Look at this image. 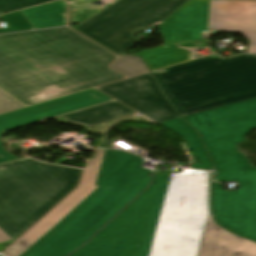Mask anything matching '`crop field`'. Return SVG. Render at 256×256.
Returning <instances> with one entry per match:
<instances>
[{"label":"crop field","instance_id":"8a807250","mask_svg":"<svg viewBox=\"0 0 256 256\" xmlns=\"http://www.w3.org/2000/svg\"><path fill=\"white\" fill-rule=\"evenodd\" d=\"M116 57L68 28L0 36V87L26 105L123 78Z\"/></svg>","mask_w":256,"mask_h":256},{"label":"crop field","instance_id":"ac0d7876","mask_svg":"<svg viewBox=\"0 0 256 256\" xmlns=\"http://www.w3.org/2000/svg\"><path fill=\"white\" fill-rule=\"evenodd\" d=\"M196 128L217 171V181H235L237 191L213 187V211L217 223L256 241V168L236 151V144L256 128V99L184 117Z\"/></svg>","mask_w":256,"mask_h":256},{"label":"crop field","instance_id":"34b2d1b8","mask_svg":"<svg viewBox=\"0 0 256 256\" xmlns=\"http://www.w3.org/2000/svg\"><path fill=\"white\" fill-rule=\"evenodd\" d=\"M142 165L140 157L106 150L96 183L100 187L22 256H65L83 245L147 187L153 171Z\"/></svg>","mask_w":256,"mask_h":256},{"label":"crop field","instance_id":"412701ff","mask_svg":"<svg viewBox=\"0 0 256 256\" xmlns=\"http://www.w3.org/2000/svg\"><path fill=\"white\" fill-rule=\"evenodd\" d=\"M208 172L161 174L141 256H196L207 212Z\"/></svg>","mask_w":256,"mask_h":256},{"label":"crop field","instance_id":"f4fd0767","mask_svg":"<svg viewBox=\"0 0 256 256\" xmlns=\"http://www.w3.org/2000/svg\"><path fill=\"white\" fill-rule=\"evenodd\" d=\"M153 74L182 116L256 98V56L204 58Z\"/></svg>","mask_w":256,"mask_h":256},{"label":"crop field","instance_id":"dd49c442","mask_svg":"<svg viewBox=\"0 0 256 256\" xmlns=\"http://www.w3.org/2000/svg\"><path fill=\"white\" fill-rule=\"evenodd\" d=\"M81 171L31 159L0 165V225L16 239L77 185Z\"/></svg>","mask_w":256,"mask_h":256},{"label":"crop field","instance_id":"e52e79f7","mask_svg":"<svg viewBox=\"0 0 256 256\" xmlns=\"http://www.w3.org/2000/svg\"><path fill=\"white\" fill-rule=\"evenodd\" d=\"M187 1L121 0L75 29L121 55L138 42L135 29L158 26Z\"/></svg>","mask_w":256,"mask_h":256},{"label":"crop field","instance_id":"d8731c3e","mask_svg":"<svg viewBox=\"0 0 256 256\" xmlns=\"http://www.w3.org/2000/svg\"><path fill=\"white\" fill-rule=\"evenodd\" d=\"M210 0H191L160 25L166 45L144 51L141 56L150 71L189 60L207 46Z\"/></svg>","mask_w":256,"mask_h":256},{"label":"crop field","instance_id":"5a996713","mask_svg":"<svg viewBox=\"0 0 256 256\" xmlns=\"http://www.w3.org/2000/svg\"><path fill=\"white\" fill-rule=\"evenodd\" d=\"M99 88L157 122L180 117L150 73Z\"/></svg>","mask_w":256,"mask_h":256},{"label":"crop field","instance_id":"3316defc","mask_svg":"<svg viewBox=\"0 0 256 256\" xmlns=\"http://www.w3.org/2000/svg\"><path fill=\"white\" fill-rule=\"evenodd\" d=\"M112 100L96 89L87 90L66 97L58 98L29 108L20 109L0 115V138L7 129L42 120L101 102ZM18 159L3 150L0 141V163Z\"/></svg>","mask_w":256,"mask_h":256},{"label":"crop field","instance_id":"28ad6ade","mask_svg":"<svg viewBox=\"0 0 256 256\" xmlns=\"http://www.w3.org/2000/svg\"><path fill=\"white\" fill-rule=\"evenodd\" d=\"M104 151L97 150L94 159L89 160L81 185L18 239L11 246L12 249H8L3 255L19 256L22 254L98 188L95 183Z\"/></svg>","mask_w":256,"mask_h":256},{"label":"crop field","instance_id":"d1516ede","mask_svg":"<svg viewBox=\"0 0 256 256\" xmlns=\"http://www.w3.org/2000/svg\"><path fill=\"white\" fill-rule=\"evenodd\" d=\"M210 29L244 35L250 41L247 53H256V2L212 0Z\"/></svg>","mask_w":256,"mask_h":256},{"label":"crop field","instance_id":"22f410ed","mask_svg":"<svg viewBox=\"0 0 256 256\" xmlns=\"http://www.w3.org/2000/svg\"><path fill=\"white\" fill-rule=\"evenodd\" d=\"M199 256H256V243L235 236L209 218Z\"/></svg>","mask_w":256,"mask_h":256},{"label":"crop field","instance_id":"cbeb9de0","mask_svg":"<svg viewBox=\"0 0 256 256\" xmlns=\"http://www.w3.org/2000/svg\"><path fill=\"white\" fill-rule=\"evenodd\" d=\"M134 113L128 107L114 101L70 114L62 115L70 123L93 125Z\"/></svg>","mask_w":256,"mask_h":256},{"label":"crop field","instance_id":"5142ce71","mask_svg":"<svg viewBox=\"0 0 256 256\" xmlns=\"http://www.w3.org/2000/svg\"><path fill=\"white\" fill-rule=\"evenodd\" d=\"M113 70H116L128 77L148 72L147 67L136 56H122L112 66Z\"/></svg>","mask_w":256,"mask_h":256},{"label":"crop field","instance_id":"d9b57169","mask_svg":"<svg viewBox=\"0 0 256 256\" xmlns=\"http://www.w3.org/2000/svg\"><path fill=\"white\" fill-rule=\"evenodd\" d=\"M0 19L6 21L8 28L0 29V33L31 30L32 26L28 23L20 11L2 15Z\"/></svg>","mask_w":256,"mask_h":256},{"label":"crop field","instance_id":"733c2abd","mask_svg":"<svg viewBox=\"0 0 256 256\" xmlns=\"http://www.w3.org/2000/svg\"><path fill=\"white\" fill-rule=\"evenodd\" d=\"M52 0H0V14Z\"/></svg>","mask_w":256,"mask_h":256},{"label":"crop field","instance_id":"4a817a6b","mask_svg":"<svg viewBox=\"0 0 256 256\" xmlns=\"http://www.w3.org/2000/svg\"><path fill=\"white\" fill-rule=\"evenodd\" d=\"M20 108L25 106L0 90V114Z\"/></svg>","mask_w":256,"mask_h":256},{"label":"crop field","instance_id":"bc2a9ffb","mask_svg":"<svg viewBox=\"0 0 256 256\" xmlns=\"http://www.w3.org/2000/svg\"><path fill=\"white\" fill-rule=\"evenodd\" d=\"M14 240L7 235L1 228H0V253L5 249L6 245H10Z\"/></svg>","mask_w":256,"mask_h":256},{"label":"crop field","instance_id":"214f88e0","mask_svg":"<svg viewBox=\"0 0 256 256\" xmlns=\"http://www.w3.org/2000/svg\"><path fill=\"white\" fill-rule=\"evenodd\" d=\"M248 1H256V0H248Z\"/></svg>","mask_w":256,"mask_h":256}]
</instances>
